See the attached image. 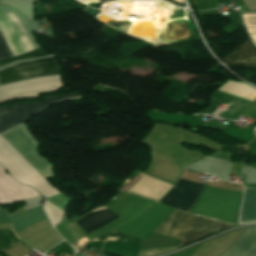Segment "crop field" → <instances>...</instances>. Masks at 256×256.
Segmentation results:
<instances>
[{
	"label": "crop field",
	"instance_id": "obj_1",
	"mask_svg": "<svg viewBox=\"0 0 256 256\" xmlns=\"http://www.w3.org/2000/svg\"><path fill=\"white\" fill-rule=\"evenodd\" d=\"M46 178L53 177L52 166L37 154V145L16 126L1 134ZM3 137L0 136V164L18 182L31 185L46 198L60 193Z\"/></svg>",
	"mask_w": 256,
	"mask_h": 256
},
{
	"label": "crop field",
	"instance_id": "obj_2",
	"mask_svg": "<svg viewBox=\"0 0 256 256\" xmlns=\"http://www.w3.org/2000/svg\"><path fill=\"white\" fill-rule=\"evenodd\" d=\"M241 196L242 192L239 191L223 190L206 185L190 212L238 224Z\"/></svg>",
	"mask_w": 256,
	"mask_h": 256
},
{
	"label": "crop field",
	"instance_id": "obj_3",
	"mask_svg": "<svg viewBox=\"0 0 256 256\" xmlns=\"http://www.w3.org/2000/svg\"><path fill=\"white\" fill-rule=\"evenodd\" d=\"M0 31L13 56L34 50L17 17L12 12L5 14L1 8ZM7 45L0 34V60L12 57Z\"/></svg>",
	"mask_w": 256,
	"mask_h": 256
},
{
	"label": "crop field",
	"instance_id": "obj_4",
	"mask_svg": "<svg viewBox=\"0 0 256 256\" xmlns=\"http://www.w3.org/2000/svg\"><path fill=\"white\" fill-rule=\"evenodd\" d=\"M60 73L59 66L53 57L39 58L18 62L0 70V84Z\"/></svg>",
	"mask_w": 256,
	"mask_h": 256
},
{
	"label": "crop field",
	"instance_id": "obj_5",
	"mask_svg": "<svg viewBox=\"0 0 256 256\" xmlns=\"http://www.w3.org/2000/svg\"><path fill=\"white\" fill-rule=\"evenodd\" d=\"M80 98L74 92L48 98L36 103L0 108V133L9 129L10 127L22 123L30 116L37 115L46 106L57 103L65 99Z\"/></svg>",
	"mask_w": 256,
	"mask_h": 256
},
{
	"label": "crop field",
	"instance_id": "obj_6",
	"mask_svg": "<svg viewBox=\"0 0 256 256\" xmlns=\"http://www.w3.org/2000/svg\"><path fill=\"white\" fill-rule=\"evenodd\" d=\"M155 201L145 200L135 195H127L126 197L119 200L117 203L112 205L110 208L114 213L122 216L127 222L134 219L149 207H151ZM126 223L121 217L112 221L111 223L103 226L102 228L94 231L93 233L87 235L90 239L106 233L122 224Z\"/></svg>",
	"mask_w": 256,
	"mask_h": 256
},
{
	"label": "crop field",
	"instance_id": "obj_7",
	"mask_svg": "<svg viewBox=\"0 0 256 256\" xmlns=\"http://www.w3.org/2000/svg\"><path fill=\"white\" fill-rule=\"evenodd\" d=\"M203 187L204 184L179 178L175 186L159 202L189 212Z\"/></svg>",
	"mask_w": 256,
	"mask_h": 256
},
{
	"label": "crop field",
	"instance_id": "obj_8",
	"mask_svg": "<svg viewBox=\"0 0 256 256\" xmlns=\"http://www.w3.org/2000/svg\"><path fill=\"white\" fill-rule=\"evenodd\" d=\"M231 226H234V225L194 215L184 234V237L182 239L180 246L186 243H189L191 241H194L196 239H199L201 237H204L217 230L228 228Z\"/></svg>",
	"mask_w": 256,
	"mask_h": 256
},
{
	"label": "crop field",
	"instance_id": "obj_9",
	"mask_svg": "<svg viewBox=\"0 0 256 256\" xmlns=\"http://www.w3.org/2000/svg\"><path fill=\"white\" fill-rule=\"evenodd\" d=\"M0 179L5 182L15 193L22 199H27L38 195L35 190L30 187L23 186L14 181L10 175L0 166ZM0 180V203H8L15 200H21L6 184Z\"/></svg>",
	"mask_w": 256,
	"mask_h": 256
},
{
	"label": "crop field",
	"instance_id": "obj_10",
	"mask_svg": "<svg viewBox=\"0 0 256 256\" xmlns=\"http://www.w3.org/2000/svg\"><path fill=\"white\" fill-rule=\"evenodd\" d=\"M192 217V214L175 210L172 215L159 226L154 233L168 237L182 239L185 229Z\"/></svg>",
	"mask_w": 256,
	"mask_h": 256
},
{
	"label": "crop field",
	"instance_id": "obj_11",
	"mask_svg": "<svg viewBox=\"0 0 256 256\" xmlns=\"http://www.w3.org/2000/svg\"><path fill=\"white\" fill-rule=\"evenodd\" d=\"M222 256H256V228H247Z\"/></svg>",
	"mask_w": 256,
	"mask_h": 256
},
{
	"label": "crop field",
	"instance_id": "obj_12",
	"mask_svg": "<svg viewBox=\"0 0 256 256\" xmlns=\"http://www.w3.org/2000/svg\"><path fill=\"white\" fill-rule=\"evenodd\" d=\"M105 207L97 208L93 211L104 209ZM113 212L104 209L96 212L89 213L76 221V223L87 233H91L94 230L102 227L103 225L118 218Z\"/></svg>",
	"mask_w": 256,
	"mask_h": 256
},
{
	"label": "crop field",
	"instance_id": "obj_13",
	"mask_svg": "<svg viewBox=\"0 0 256 256\" xmlns=\"http://www.w3.org/2000/svg\"><path fill=\"white\" fill-rule=\"evenodd\" d=\"M240 223L256 221V189L245 188Z\"/></svg>",
	"mask_w": 256,
	"mask_h": 256
},
{
	"label": "crop field",
	"instance_id": "obj_14",
	"mask_svg": "<svg viewBox=\"0 0 256 256\" xmlns=\"http://www.w3.org/2000/svg\"><path fill=\"white\" fill-rule=\"evenodd\" d=\"M40 49L31 51V52H28L25 54H21V55L12 57L7 60L0 61V68L10 65L16 61L31 60V59L38 58V57L50 56L49 54L45 53L44 51H42Z\"/></svg>",
	"mask_w": 256,
	"mask_h": 256
},
{
	"label": "crop field",
	"instance_id": "obj_15",
	"mask_svg": "<svg viewBox=\"0 0 256 256\" xmlns=\"http://www.w3.org/2000/svg\"><path fill=\"white\" fill-rule=\"evenodd\" d=\"M20 244L18 240L13 236L11 229L0 230V251H4Z\"/></svg>",
	"mask_w": 256,
	"mask_h": 256
},
{
	"label": "crop field",
	"instance_id": "obj_16",
	"mask_svg": "<svg viewBox=\"0 0 256 256\" xmlns=\"http://www.w3.org/2000/svg\"><path fill=\"white\" fill-rule=\"evenodd\" d=\"M188 2L190 3V5L196 6L195 0H188Z\"/></svg>",
	"mask_w": 256,
	"mask_h": 256
}]
</instances>
